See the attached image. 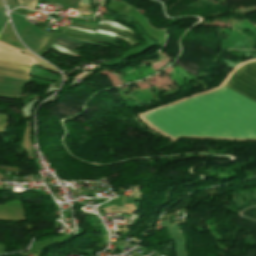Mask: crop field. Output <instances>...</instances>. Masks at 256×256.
<instances>
[{
    "label": "crop field",
    "mask_w": 256,
    "mask_h": 256,
    "mask_svg": "<svg viewBox=\"0 0 256 256\" xmlns=\"http://www.w3.org/2000/svg\"><path fill=\"white\" fill-rule=\"evenodd\" d=\"M225 85L256 101V61L238 68ZM231 89L224 86L144 117L175 138L256 139V102Z\"/></svg>",
    "instance_id": "crop-field-1"
},
{
    "label": "crop field",
    "mask_w": 256,
    "mask_h": 256,
    "mask_svg": "<svg viewBox=\"0 0 256 256\" xmlns=\"http://www.w3.org/2000/svg\"><path fill=\"white\" fill-rule=\"evenodd\" d=\"M98 33H102V34H108V35H111L113 37H117V38H120V39H123L125 41H127L131 46L135 45V44H138L139 42H137L133 37L125 34L124 32L118 30V29H114V28H109V27H102V26H99L98 28ZM116 33H119L123 36H125L127 39L117 35Z\"/></svg>",
    "instance_id": "crop-field-2"
},
{
    "label": "crop field",
    "mask_w": 256,
    "mask_h": 256,
    "mask_svg": "<svg viewBox=\"0 0 256 256\" xmlns=\"http://www.w3.org/2000/svg\"><path fill=\"white\" fill-rule=\"evenodd\" d=\"M0 68L28 73L31 67L0 61Z\"/></svg>",
    "instance_id": "crop-field-3"
},
{
    "label": "crop field",
    "mask_w": 256,
    "mask_h": 256,
    "mask_svg": "<svg viewBox=\"0 0 256 256\" xmlns=\"http://www.w3.org/2000/svg\"><path fill=\"white\" fill-rule=\"evenodd\" d=\"M55 43L65 47L69 50H72V49H75V48L81 46V44H77V43L70 42V41H67V40H64V39H60V38H58Z\"/></svg>",
    "instance_id": "crop-field-4"
},
{
    "label": "crop field",
    "mask_w": 256,
    "mask_h": 256,
    "mask_svg": "<svg viewBox=\"0 0 256 256\" xmlns=\"http://www.w3.org/2000/svg\"><path fill=\"white\" fill-rule=\"evenodd\" d=\"M99 24L108 25V26H112V27H115V28L122 29V30L127 31L128 33H130L133 37H135L132 31H130L128 28H126V27H124L120 24H117L116 22L107 21V22H99Z\"/></svg>",
    "instance_id": "crop-field-5"
},
{
    "label": "crop field",
    "mask_w": 256,
    "mask_h": 256,
    "mask_svg": "<svg viewBox=\"0 0 256 256\" xmlns=\"http://www.w3.org/2000/svg\"><path fill=\"white\" fill-rule=\"evenodd\" d=\"M0 75L14 77V78H20V79H25V80H28V78H29L28 75L17 74V73L2 71V70H0Z\"/></svg>",
    "instance_id": "crop-field-6"
},
{
    "label": "crop field",
    "mask_w": 256,
    "mask_h": 256,
    "mask_svg": "<svg viewBox=\"0 0 256 256\" xmlns=\"http://www.w3.org/2000/svg\"><path fill=\"white\" fill-rule=\"evenodd\" d=\"M52 48H54L55 50L65 54V55H69V56H73V57H80V55L74 54V53L60 47L59 45H57L55 43L53 44Z\"/></svg>",
    "instance_id": "crop-field-7"
},
{
    "label": "crop field",
    "mask_w": 256,
    "mask_h": 256,
    "mask_svg": "<svg viewBox=\"0 0 256 256\" xmlns=\"http://www.w3.org/2000/svg\"><path fill=\"white\" fill-rule=\"evenodd\" d=\"M8 18L5 15V9L3 4L0 6V31L7 22Z\"/></svg>",
    "instance_id": "crop-field-8"
},
{
    "label": "crop field",
    "mask_w": 256,
    "mask_h": 256,
    "mask_svg": "<svg viewBox=\"0 0 256 256\" xmlns=\"http://www.w3.org/2000/svg\"><path fill=\"white\" fill-rule=\"evenodd\" d=\"M37 0H18L20 6L33 9Z\"/></svg>",
    "instance_id": "crop-field-9"
},
{
    "label": "crop field",
    "mask_w": 256,
    "mask_h": 256,
    "mask_svg": "<svg viewBox=\"0 0 256 256\" xmlns=\"http://www.w3.org/2000/svg\"><path fill=\"white\" fill-rule=\"evenodd\" d=\"M6 115H0V132L5 128Z\"/></svg>",
    "instance_id": "crop-field-10"
},
{
    "label": "crop field",
    "mask_w": 256,
    "mask_h": 256,
    "mask_svg": "<svg viewBox=\"0 0 256 256\" xmlns=\"http://www.w3.org/2000/svg\"><path fill=\"white\" fill-rule=\"evenodd\" d=\"M67 28H68V29H74V30H79V31H83V32H88V33L95 34L94 31L84 30V29L75 28V27H70V26H67Z\"/></svg>",
    "instance_id": "crop-field-11"
},
{
    "label": "crop field",
    "mask_w": 256,
    "mask_h": 256,
    "mask_svg": "<svg viewBox=\"0 0 256 256\" xmlns=\"http://www.w3.org/2000/svg\"><path fill=\"white\" fill-rule=\"evenodd\" d=\"M5 2L8 5H16V3L13 0H5Z\"/></svg>",
    "instance_id": "crop-field-12"
},
{
    "label": "crop field",
    "mask_w": 256,
    "mask_h": 256,
    "mask_svg": "<svg viewBox=\"0 0 256 256\" xmlns=\"http://www.w3.org/2000/svg\"><path fill=\"white\" fill-rule=\"evenodd\" d=\"M79 4L90 5V4L88 3V0H81Z\"/></svg>",
    "instance_id": "crop-field-13"
},
{
    "label": "crop field",
    "mask_w": 256,
    "mask_h": 256,
    "mask_svg": "<svg viewBox=\"0 0 256 256\" xmlns=\"http://www.w3.org/2000/svg\"><path fill=\"white\" fill-rule=\"evenodd\" d=\"M2 3V1L0 0V4Z\"/></svg>",
    "instance_id": "crop-field-14"
}]
</instances>
